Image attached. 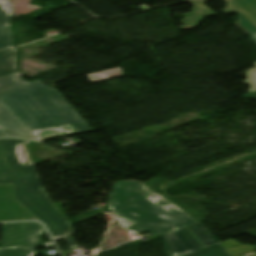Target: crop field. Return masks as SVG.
Instances as JSON below:
<instances>
[{
	"instance_id": "1",
	"label": "crop field",
	"mask_w": 256,
	"mask_h": 256,
	"mask_svg": "<svg viewBox=\"0 0 256 256\" xmlns=\"http://www.w3.org/2000/svg\"><path fill=\"white\" fill-rule=\"evenodd\" d=\"M28 142L19 139L0 140V183L14 184L16 200L46 225L54 240L63 237L69 248L76 247L71 235L74 232L67 219L35 190L41 186L32 166L23 165L16 156L17 145Z\"/></svg>"
},
{
	"instance_id": "2",
	"label": "crop field",
	"mask_w": 256,
	"mask_h": 256,
	"mask_svg": "<svg viewBox=\"0 0 256 256\" xmlns=\"http://www.w3.org/2000/svg\"><path fill=\"white\" fill-rule=\"evenodd\" d=\"M0 102L29 131L70 123L78 134L88 132L60 93L39 81L0 95Z\"/></svg>"
},
{
	"instance_id": "3",
	"label": "crop field",
	"mask_w": 256,
	"mask_h": 256,
	"mask_svg": "<svg viewBox=\"0 0 256 256\" xmlns=\"http://www.w3.org/2000/svg\"><path fill=\"white\" fill-rule=\"evenodd\" d=\"M149 194L138 181L118 182L109 198L110 211L136 225L125 230L135 234L152 232L164 235L197 223L187 213L166 208L147 200Z\"/></svg>"
},
{
	"instance_id": "4",
	"label": "crop field",
	"mask_w": 256,
	"mask_h": 256,
	"mask_svg": "<svg viewBox=\"0 0 256 256\" xmlns=\"http://www.w3.org/2000/svg\"><path fill=\"white\" fill-rule=\"evenodd\" d=\"M44 231V234H40ZM3 250L0 256H34L40 244L39 235L47 234L37 222L2 224Z\"/></svg>"
},
{
	"instance_id": "5",
	"label": "crop field",
	"mask_w": 256,
	"mask_h": 256,
	"mask_svg": "<svg viewBox=\"0 0 256 256\" xmlns=\"http://www.w3.org/2000/svg\"><path fill=\"white\" fill-rule=\"evenodd\" d=\"M186 228H188L205 247L218 243L217 239L211 233L207 232L199 223ZM175 244H179V246ZM162 247L166 256H184L203 248L185 228L165 235L162 239Z\"/></svg>"
},
{
	"instance_id": "6",
	"label": "crop field",
	"mask_w": 256,
	"mask_h": 256,
	"mask_svg": "<svg viewBox=\"0 0 256 256\" xmlns=\"http://www.w3.org/2000/svg\"><path fill=\"white\" fill-rule=\"evenodd\" d=\"M38 220L15 200L12 184H0V222Z\"/></svg>"
},
{
	"instance_id": "7",
	"label": "crop field",
	"mask_w": 256,
	"mask_h": 256,
	"mask_svg": "<svg viewBox=\"0 0 256 256\" xmlns=\"http://www.w3.org/2000/svg\"><path fill=\"white\" fill-rule=\"evenodd\" d=\"M20 137L36 140L35 137L0 103V138Z\"/></svg>"
},
{
	"instance_id": "8",
	"label": "crop field",
	"mask_w": 256,
	"mask_h": 256,
	"mask_svg": "<svg viewBox=\"0 0 256 256\" xmlns=\"http://www.w3.org/2000/svg\"><path fill=\"white\" fill-rule=\"evenodd\" d=\"M205 1L207 0H197L190 2L192 5L195 6L192 9L193 13L183 14L185 19L181 20V22H183L185 25L179 26L178 29L186 30L197 27L200 21H202L205 17L216 16V14L212 10L203 5Z\"/></svg>"
},
{
	"instance_id": "9",
	"label": "crop field",
	"mask_w": 256,
	"mask_h": 256,
	"mask_svg": "<svg viewBox=\"0 0 256 256\" xmlns=\"http://www.w3.org/2000/svg\"><path fill=\"white\" fill-rule=\"evenodd\" d=\"M16 53V49H8L0 52V78L17 73Z\"/></svg>"
},
{
	"instance_id": "10",
	"label": "crop field",
	"mask_w": 256,
	"mask_h": 256,
	"mask_svg": "<svg viewBox=\"0 0 256 256\" xmlns=\"http://www.w3.org/2000/svg\"><path fill=\"white\" fill-rule=\"evenodd\" d=\"M64 131L66 134L62 135L60 132ZM39 140L49 139L52 137L65 136L77 134L70 124L62 125L59 128L50 127L32 132Z\"/></svg>"
},
{
	"instance_id": "11",
	"label": "crop field",
	"mask_w": 256,
	"mask_h": 256,
	"mask_svg": "<svg viewBox=\"0 0 256 256\" xmlns=\"http://www.w3.org/2000/svg\"><path fill=\"white\" fill-rule=\"evenodd\" d=\"M11 16L0 7V50L12 46V35L6 23Z\"/></svg>"
},
{
	"instance_id": "12",
	"label": "crop field",
	"mask_w": 256,
	"mask_h": 256,
	"mask_svg": "<svg viewBox=\"0 0 256 256\" xmlns=\"http://www.w3.org/2000/svg\"><path fill=\"white\" fill-rule=\"evenodd\" d=\"M20 76H23L20 73L10 75L4 78L0 79V94L7 92L9 90L15 89L17 87L23 86L25 84H28L24 80L20 78Z\"/></svg>"
},
{
	"instance_id": "13",
	"label": "crop field",
	"mask_w": 256,
	"mask_h": 256,
	"mask_svg": "<svg viewBox=\"0 0 256 256\" xmlns=\"http://www.w3.org/2000/svg\"><path fill=\"white\" fill-rule=\"evenodd\" d=\"M226 4V8L221 12L225 14H229L232 12H236L238 14L242 13L246 18H248L255 26H256V17L253 16L247 9H245L238 0H224Z\"/></svg>"
},
{
	"instance_id": "14",
	"label": "crop field",
	"mask_w": 256,
	"mask_h": 256,
	"mask_svg": "<svg viewBox=\"0 0 256 256\" xmlns=\"http://www.w3.org/2000/svg\"><path fill=\"white\" fill-rule=\"evenodd\" d=\"M187 256H232L220 243Z\"/></svg>"
},
{
	"instance_id": "15",
	"label": "crop field",
	"mask_w": 256,
	"mask_h": 256,
	"mask_svg": "<svg viewBox=\"0 0 256 256\" xmlns=\"http://www.w3.org/2000/svg\"><path fill=\"white\" fill-rule=\"evenodd\" d=\"M123 75H124V73L122 72L121 68H117V69H113V70L90 74L87 76L89 77L90 80L93 79L91 81H92V83H94V82H98V81H102V80H106V79H110V78H115V77H119V76H123ZM94 77H95V79H94Z\"/></svg>"
},
{
	"instance_id": "16",
	"label": "crop field",
	"mask_w": 256,
	"mask_h": 256,
	"mask_svg": "<svg viewBox=\"0 0 256 256\" xmlns=\"http://www.w3.org/2000/svg\"><path fill=\"white\" fill-rule=\"evenodd\" d=\"M235 25L242 31L248 33L251 36V40L256 44V27L249 20L240 14Z\"/></svg>"
},
{
	"instance_id": "17",
	"label": "crop field",
	"mask_w": 256,
	"mask_h": 256,
	"mask_svg": "<svg viewBox=\"0 0 256 256\" xmlns=\"http://www.w3.org/2000/svg\"><path fill=\"white\" fill-rule=\"evenodd\" d=\"M256 66V62L254 63ZM247 75V81H244V83L250 85L249 93L256 91V68L249 69L248 72H246Z\"/></svg>"
},
{
	"instance_id": "18",
	"label": "crop field",
	"mask_w": 256,
	"mask_h": 256,
	"mask_svg": "<svg viewBox=\"0 0 256 256\" xmlns=\"http://www.w3.org/2000/svg\"><path fill=\"white\" fill-rule=\"evenodd\" d=\"M146 190L149 192V196H148V199L155 202V203H158V204H161V205H164V206H167V207H173V208H176L175 206H173L171 203H169L168 201H166L164 198L152 193L151 191H149L147 188ZM178 209V208H177Z\"/></svg>"
},
{
	"instance_id": "19",
	"label": "crop field",
	"mask_w": 256,
	"mask_h": 256,
	"mask_svg": "<svg viewBox=\"0 0 256 256\" xmlns=\"http://www.w3.org/2000/svg\"><path fill=\"white\" fill-rule=\"evenodd\" d=\"M17 156L23 164H31L24 145H18Z\"/></svg>"
},
{
	"instance_id": "20",
	"label": "crop field",
	"mask_w": 256,
	"mask_h": 256,
	"mask_svg": "<svg viewBox=\"0 0 256 256\" xmlns=\"http://www.w3.org/2000/svg\"><path fill=\"white\" fill-rule=\"evenodd\" d=\"M245 7L256 15V0H239Z\"/></svg>"
},
{
	"instance_id": "21",
	"label": "crop field",
	"mask_w": 256,
	"mask_h": 256,
	"mask_svg": "<svg viewBox=\"0 0 256 256\" xmlns=\"http://www.w3.org/2000/svg\"><path fill=\"white\" fill-rule=\"evenodd\" d=\"M0 6L12 13L13 7L10 0H0Z\"/></svg>"
},
{
	"instance_id": "22",
	"label": "crop field",
	"mask_w": 256,
	"mask_h": 256,
	"mask_svg": "<svg viewBox=\"0 0 256 256\" xmlns=\"http://www.w3.org/2000/svg\"><path fill=\"white\" fill-rule=\"evenodd\" d=\"M113 215H114V216L116 217V219L120 222V224L123 226L124 229L127 228V227H129V226H131V225H134L133 223H130V222H127V221H125V220H123V219H121V218H118L117 215L114 214V213H113Z\"/></svg>"
},
{
	"instance_id": "23",
	"label": "crop field",
	"mask_w": 256,
	"mask_h": 256,
	"mask_svg": "<svg viewBox=\"0 0 256 256\" xmlns=\"http://www.w3.org/2000/svg\"><path fill=\"white\" fill-rule=\"evenodd\" d=\"M43 197L44 199L51 205L53 206V204L50 202V200L47 198V196L44 194V192L41 189L37 190ZM54 207V206H53Z\"/></svg>"
},
{
	"instance_id": "24",
	"label": "crop field",
	"mask_w": 256,
	"mask_h": 256,
	"mask_svg": "<svg viewBox=\"0 0 256 256\" xmlns=\"http://www.w3.org/2000/svg\"><path fill=\"white\" fill-rule=\"evenodd\" d=\"M243 97L255 99L256 98V92L248 94V95H244Z\"/></svg>"
},
{
	"instance_id": "25",
	"label": "crop field",
	"mask_w": 256,
	"mask_h": 256,
	"mask_svg": "<svg viewBox=\"0 0 256 256\" xmlns=\"http://www.w3.org/2000/svg\"><path fill=\"white\" fill-rule=\"evenodd\" d=\"M83 125L86 127V129H87L89 132L92 131V130L90 129L91 127L89 128V126H88L86 123H84Z\"/></svg>"
},
{
	"instance_id": "26",
	"label": "crop field",
	"mask_w": 256,
	"mask_h": 256,
	"mask_svg": "<svg viewBox=\"0 0 256 256\" xmlns=\"http://www.w3.org/2000/svg\"><path fill=\"white\" fill-rule=\"evenodd\" d=\"M1 250V249H0Z\"/></svg>"
}]
</instances>
